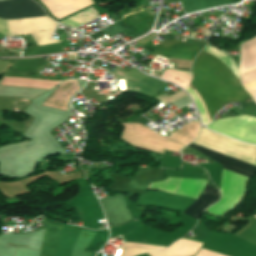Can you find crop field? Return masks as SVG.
Here are the masks:
<instances>
[{
    "label": "crop field",
    "mask_w": 256,
    "mask_h": 256,
    "mask_svg": "<svg viewBox=\"0 0 256 256\" xmlns=\"http://www.w3.org/2000/svg\"><path fill=\"white\" fill-rule=\"evenodd\" d=\"M136 256H147L146 254H140V255H136Z\"/></svg>",
    "instance_id": "obj_11"
},
{
    "label": "crop field",
    "mask_w": 256,
    "mask_h": 256,
    "mask_svg": "<svg viewBox=\"0 0 256 256\" xmlns=\"http://www.w3.org/2000/svg\"><path fill=\"white\" fill-rule=\"evenodd\" d=\"M94 9L97 11L98 15L106 12L116 22L120 20L117 16H115L113 13H111L107 9L101 8L99 6L94 7ZM94 9H93V7H91V8H89V9H87V10H85V11H83V12H81V13H79V14H77V15H75V16H73V17H71V18H69V19H67L63 22H61V23H64V24L69 25L73 28H76V27H78V26H80V25H82V24H84V23H86V22H88V21L97 17V13Z\"/></svg>",
    "instance_id": "obj_8"
},
{
    "label": "crop field",
    "mask_w": 256,
    "mask_h": 256,
    "mask_svg": "<svg viewBox=\"0 0 256 256\" xmlns=\"http://www.w3.org/2000/svg\"><path fill=\"white\" fill-rule=\"evenodd\" d=\"M0 13L32 14L45 12L32 0H6L0 2Z\"/></svg>",
    "instance_id": "obj_7"
},
{
    "label": "crop field",
    "mask_w": 256,
    "mask_h": 256,
    "mask_svg": "<svg viewBox=\"0 0 256 256\" xmlns=\"http://www.w3.org/2000/svg\"><path fill=\"white\" fill-rule=\"evenodd\" d=\"M179 181L180 178L168 177L164 181L149 184L148 188L152 190L159 189L162 191L174 193L179 185ZM206 183V180L182 178L178 190L175 193L197 199ZM218 199V190L214 189L207 183L198 199L193 202L186 210H184V213L195 219H198V216Z\"/></svg>",
    "instance_id": "obj_3"
},
{
    "label": "crop field",
    "mask_w": 256,
    "mask_h": 256,
    "mask_svg": "<svg viewBox=\"0 0 256 256\" xmlns=\"http://www.w3.org/2000/svg\"><path fill=\"white\" fill-rule=\"evenodd\" d=\"M206 127L240 141L256 144V118L241 115L219 119Z\"/></svg>",
    "instance_id": "obj_4"
},
{
    "label": "crop field",
    "mask_w": 256,
    "mask_h": 256,
    "mask_svg": "<svg viewBox=\"0 0 256 256\" xmlns=\"http://www.w3.org/2000/svg\"><path fill=\"white\" fill-rule=\"evenodd\" d=\"M178 72H181V71H178ZM178 72H174L166 69L164 75L162 76V79L173 82L179 85L183 90L187 91V85L189 84L190 79L192 77L191 72H181L185 74L187 77H189L190 79Z\"/></svg>",
    "instance_id": "obj_9"
},
{
    "label": "crop field",
    "mask_w": 256,
    "mask_h": 256,
    "mask_svg": "<svg viewBox=\"0 0 256 256\" xmlns=\"http://www.w3.org/2000/svg\"><path fill=\"white\" fill-rule=\"evenodd\" d=\"M194 143L210 150L256 165V146L236 142L216 133H210L203 128H201L199 137L194 141ZM188 146L209 157L210 159L222 164L223 168L225 169L249 177L256 174V166L199 147L193 143ZM225 169H223L222 182L220 186V193L222 195L221 200H219L216 205L206 210V212L216 217L222 216L226 211L235 207L242 200L245 194L246 183L249 179V177Z\"/></svg>",
    "instance_id": "obj_1"
},
{
    "label": "crop field",
    "mask_w": 256,
    "mask_h": 256,
    "mask_svg": "<svg viewBox=\"0 0 256 256\" xmlns=\"http://www.w3.org/2000/svg\"><path fill=\"white\" fill-rule=\"evenodd\" d=\"M147 50H154V53L161 56L192 61L196 54L203 48L192 44L169 39L156 46L147 43L142 45ZM194 60V59H193Z\"/></svg>",
    "instance_id": "obj_6"
},
{
    "label": "crop field",
    "mask_w": 256,
    "mask_h": 256,
    "mask_svg": "<svg viewBox=\"0 0 256 256\" xmlns=\"http://www.w3.org/2000/svg\"><path fill=\"white\" fill-rule=\"evenodd\" d=\"M192 74L190 85L201 96L211 121L224 105L252 98L241 86L239 75L203 50L192 65ZM191 86L188 93L197 107L203 125H206L210 122L208 114L199 95Z\"/></svg>",
    "instance_id": "obj_2"
},
{
    "label": "crop field",
    "mask_w": 256,
    "mask_h": 256,
    "mask_svg": "<svg viewBox=\"0 0 256 256\" xmlns=\"http://www.w3.org/2000/svg\"><path fill=\"white\" fill-rule=\"evenodd\" d=\"M59 227L58 224L46 222L41 256H55ZM72 232L73 228L61 225L56 256H70Z\"/></svg>",
    "instance_id": "obj_5"
},
{
    "label": "crop field",
    "mask_w": 256,
    "mask_h": 256,
    "mask_svg": "<svg viewBox=\"0 0 256 256\" xmlns=\"http://www.w3.org/2000/svg\"><path fill=\"white\" fill-rule=\"evenodd\" d=\"M168 61L171 63H176L175 65L176 68L188 69L190 68V64H191V62L189 61H183V60H177V59H171V58H168Z\"/></svg>",
    "instance_id": "obj_10"
}]
</instances>
